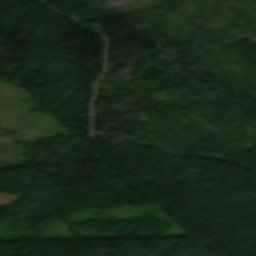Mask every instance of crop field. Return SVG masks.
I'll return each mask as SVG.
<instances>
[{
	"label": "crop field",
	"instance_id": "8a807250",
	"mask_svg": "<svg viewBox=\"0 0 256 256\" xmlns=\"http://www.w3.org/2000/svg\"><path fill=\"white\" fill-rule=\"evenodd\" d=\"M15 198H17V197L0 195V205L9 204V203L12 202Z\"/></svg>",
	"mask_w": 256,
	"mask_h": 256
}]
</instances>
